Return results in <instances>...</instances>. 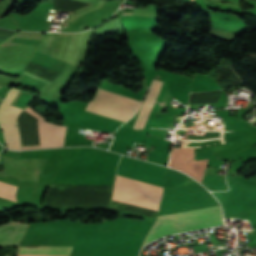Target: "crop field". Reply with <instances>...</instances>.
<instances>
[{"label": "crop field", "mask_w": 256, "mask_h": 256, "mask_svg": "<svg viewBox=\"0 0 256 256\" xmlns=\"http://www.w3.org/2000/svg\"><path fill=\"white\" fill-rule=\"evenodd\" d=\"M123 14H128V13H123Z\"/></svg>", "instance_id": "28ad6ade"}, {"label": "crop field", "mask_w": 256, "mask_h": 256, "mask_svg": "<svg viewBox=\"0 0 256 256\" xmlns=\"http://www.w3.org/2000/svg\"><path fill=\"white\" fill-rule=\"evenodd\" d=\"M163 83V80L162 81H156L154 80L153 83H152V86L144 100V103L139 111V114H138V117L136 119V122H135V125H134V129H138V128H141L143 129V126L146 122V119L150 113V110L153 106V103L156 99V96L160 90V87Z\"/></svg>", "instance_id": "e52e79f7"}, {"label": "crop field", "mask_w": 256, "mask_h": 256, "mask_svg": "<svg viewBox=\"0 0 256 256\" xmlns=\"http://www.w3.org/2000/svg\"><path fill=\"white\" fill-rule=\"evenodd\" d=\"M26 109L38 118L37 126L41 137V146L26 147L22 149L50 148L63 146L66 127L56 126L52 123L45 122L43 121L44 118L38 113H36L31 107H27Z\"/></svg>", "instance_id": "dd49c442"}, {"label": "crop field", "mask_w": 256, "mask_h": 256, "mask_svg": "<svg viewBox=\"0 0 256 256\" xmlns=\"http://www.w3.org/2000/svg\"><path fill=\"white\" fill-rule=\"evenodd\" d=\"M18 89L11 88L0 105V127L9 149L20 150V138L16 127V116L24 108L10 106Z\"/></svg>", "instance_id": "412701ff"}, {"label": "crop field", "mask_w": 256, "mask_h": 256, "mask_svg": "<svg viewBox=\"0 0 256 256\" xmlns=\"http://www.w3.org/2000/svg\"><path fill=\"white\" fill-rule=\"evenodd\" d=\"M162 193V187L117 175L112 200L158 211Z\"/></svg>", "instance_id": "ac0d7876"}, {"label": "crop field", "mask_w": 256, "mask_h": 256, "mask_svg": "<svg viewBox=\"0 0 256 256\" xmlns=\"http://www.w3.org/2000/svg\"><path fill=\"white\" fill-rule=\"evenodd\" d=\"M219 224H223L220 206L160 216L149 231L143 246L161 236Z\"/></svg>", "instance_id": "8a807250"}, {"label": "crop field", "mask_w": 256, "mask_h": 256, "mask_svg": "<svg viewBox=\"0 0 256 256\" xmlns=\"http://www.w3.org/2000/svg\"><path fill=\"white\" fill-rule=\"evenodd\" d=\"M15 190L16 186L0 182V197H4L17 202L15 197Z\"/></svg>", "instance_id": "3316defc"}, {"label": "crop field", "mask_w": 256, "mask_h": 256, "mask_svg": "<svg viewBox=\"0 0 256 256\" xmlns=\"http://www.w3.org/2000/svg\"><path fill=\"white\" fill-rule=\"evenodd\" d=\"M207 160L194 161V148L173 149L169 166L182 170L201 181Z\"/></svg>", "instance_id": "f4fd0767"}, {"label": "crop field", "mask_w": 256, "mask_h": 256, "mask_svg": "<svg viewBox=\"0 0 256 256\" xmlns=\"http://www.w3.org/2000/svg\"><path fill=\"white\" fill-rule=\"evenodd\" d=\"M39 247V246H20ZM72 246H40V248H20L18 254H46L69 256ZM18 256H45V255H18Z\"/></svg>", "instance_id": "5a996713"}, {"label": "crop field", "mask_w": 256, "mask_h": 256, "mask_svg": "<svg viewBox=\"0 0 256 256\" xmlns=\"http://www.w3.org/2000/svg\"><path fill=\"white\" fill-rule=\"evenodd\" d=\"M28 224L10 222L0 226V244L1 243H16L19 244Z\"/></svg>", "instance_id": "d8731c3e"}, {"label": "crop field", "mask_w": 256, "mask_h": 256, "mask_svg": "<svg viewBox=\"0 0 256 256\" xmlns=\"http://www.w3.org/2000/svg\"><path fill=\"white\" fill-rule=\"evenodd\" d=\"M140 101L98 88L86 110L126 122L137 111Z\"/></svg>", "instance_id": "34b2d1b8"}]
</instances>
